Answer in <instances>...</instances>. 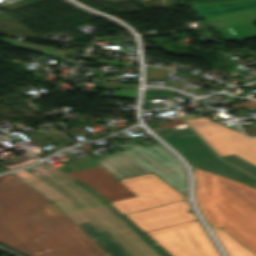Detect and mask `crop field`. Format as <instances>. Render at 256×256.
<instances>
[{"instance_id": "8a807250", "label": "crop field", "mask_w": 256, "mask_h": 256, "mask_svg": "<svg viewBox=\"0 0 256 256\" xmlns=\"http://www.w3.org/2000/svg\"><path fill=\"white\" fill-rule=\"evenodd\" d=\"M0 241L29 256H109L11 173L0 177Z\"/></svg>"}, {"instance_id": "ac0d7876", "label": "crop field", "mask_w": 256, "mask_h": 256, "mask_svg": "<svg viewBox=\"0 0 256 256\" xmlns=\"http://www.w3.org/2000/svg\"><path fill=\"white\" fill-rule=\"evenodd\" d=\"M197 204L210 227H221L256 254V188L198 168Z\"/></svg>"}, {"instance_id": "34b2d1b8", "label": "crop field", "mask_w": 256, "mask_h": 256, "mask_svg": "<svg viewBox=\"0 0 256 256\" xmlns=\"http://www.w3.org/2000/svg\"><path fill=\"white\" fill-rule=\"evenodd\" d=\"M152 130L184 156L191 166L198 167L240 182L256 184V178L220 160L217 155L191 130L189 126Z\"/></svg>"}, {"instance_id": "412701ff", "label": "crop field", "mask_w": 256, "mask_h": 256, "mask_svg": "<svg viewBox=\"0 0 256 256\" xmlns=\"http://www.w3.org/2000/svg\"><path fill=\"white\" fill-rule=\"evenodd\" d=\"M147 234L172 256H219L197 220Z\"/></svg>"}, {"instance_id": "f4fd0767", "label": "crop field", "mask_w": 256, "mask_h": 256, "mask_svg": "<svg viewBox=\"0 0 256 256\" xmlns=\"http://www.w3.org/2000/svg\"><path fill=\"white\" fill-rule=\"evenodd\" d=\"M139 197L112 203L122 215L184 199V196L152 173L120 180Z\"/></svg>"}, {"instance_id": "dd49c442", "label": "crop field", "mask_w": 256, "mask_h": 256, "mask_svg": "<svg viewBox=\"0 0 256 256\" xmlns=\"http://www.w3.org/2000/svg\"><path fill=\"white\" fill-rule=\"evenodd\" d=\"M221 156L235 153L256 164V140L204 117L186 121Z\"/></svg>"}, {"instance_id": "e52e79f7", "label": "crop field", "mask_w": 256, "mask_h": 256, "mask_svg": "<svg viewBox=\"0 0 256 256\" xmlns=\"http://www.w3.org/2000/svg\"><path fill=\"white\" fill-rule=\"evenodd\" d=\"M188 209L190 208L186 200H183L181 202L127 214L126 216L146 232L194 220L193 213L186 212Z\"/></svg>"}, {"instance_id": "d8731c3e", "label": "crop field", "mask_w": 256, "mask_h": 256, "mask_svg": "<svg viewBox=\"0 0 256 256\" xmlns=\"http://www.w3.org/2000/svg\"><path fill=\"white\" fill-rule=\"evenodd\" d=\"M121 145L123 144L116 145V146L122 149L123 151H125L135 160L140 162L150 171L157 174L159 177H161L163 180H165L167 183H169L171 186H173L183 195H185L186 175L178 160H175L166 164H161L145 148H143L138 144H135V143L125 144L127 145V147H124Z\"/></svg>"}, {"instance_id": "5a996713", "label": "crop field", "mask_w": 256, "mask_h": 256, "mask_svg": "<svg viewBox=\"0 0 256 256\" xmlns=\"http://www.w3.org/2000/svg\"><path fill=\"white\" fill-rule=\"evenodd\" d=\"M18 177L52 201L64 214H66L77 225L90 223L91 221L85 217L75 206H73L68 200L61 197L38 180L30 176L25 171L14 172Z\"/></svg>"}, {"instance_id": "3316defc", "label": "crop field", "mask_w": 256, "mask_h": 256, "mask_svg": "<svg viewBox=\"0 0 256 256\" xmlns=\"http://www.w3.org/2000/svg\"><path fill=\"white\" fill-rule=\"evenodd\" d=\"M95 160L118 180L150 172L123 151Z\"/></svg>"}, {"instance_id": "28ad6ade", "label": "crop field", "mask_w": 256, "mask_h": 256, "mask_svg": "<svg viewBox=\"0 0 256 256\" xmlns=\"http://www.w3.org/2000/svg\"><path fill=\"white\" fill-rule=\"evenodd\" d=\"M202 19L256 8V0L190 6Z\"/></svg>"}, {"instance_id": "d1516ede", "label": "crop field", "mask_w": 256, "mask_h": 256, "mask_svg": "<svg viewBox=\"0 0 256 256\" xmlns=\"http://www.w3.org/2000/svg\"><path fill=\"white\" fill-rule=\"evenodd\" d=\"M68 175L89 185L91 188L99 192L98 194L109 203L137 196L124 185L105 189L84 170L68 173Z\"/></svg>"}, {"instance_id": "22f410ed", "label": "crop field", "mask_w": 256, "mask_h": 256, "mask_svg": "<svg viewBox=\"0 0 256 256\" xmlns=\"http://www.w3.org/2000/svg\"><path fill=\"white\" fill-rule=\"evenodd\" d=\"M212 27L239 25L256 22V10L229 14L225 16L206 19Z\"/></svg>"}, {"instance_id": "cbeb9de0", "label": "crop field", "mask_w": 256, "mask_h": 256, "mask_svg": "<svg viewBox=\"0 0 256 256\" xmlns=\"http://www.w3.org/2000/svg\"><path fill=\"white\" fill-rule=\"evenodd\" d=\"M230 256H256L221 228L212 229Z\"/></svg>"}, {"instance_id": "5142ce71", "label": "crop field", "mask_w": 256, "mask_h": 256, "mask_svg": "<svg viewBox=\"0 0 256 256\" xmlns=\"http://www.w3.org/2000/svg\"><path fill=\"white\" fill-rule=\"evenodd\" d=\"M227 40H246L256 38V27L251 24L215 28Z\"/></svg>"}, {"instance_id": "d9b57169", "label": "crop field", "mask_w": 256, "mask_h": 256, "mask_svg": "<svg viewBox=\"0 0 256 256\" xmlns=\"http://www.w3.org/2000/svg\"><path fill=\"white\" fill-rule=\"evenodd\" d=\"M88 172L93 178H95L101 185L105 188L121 185L120 182L114 181V176H112L106 169L101 165L84 169Z\"/></svg>"}, {"instance_id": "733c2abd", "label": "crop field", "mask_w": 256, "mask_h": 256, "mask_svg": "<svg viewBox=\"0 0 256 256\" xmlns=\"http://www.w3.org/2000/svg\"><path fill=\"white\" fill-rule=\"evenodd\" d=\"M3 40L6 44H8L12 47L28 49V50L40 52V53H43V54H46L49 56L59 57L63 54V53L57 52V48H53V47L15 42V41L7 40V39H3Z\"/></svg>"}, {"instance_id": "4a817a6b", "label": "crop field", "mask_w": 256, "mask_h": 256, "mask_svg": "<svg viewBox=\"0 0 256 256\" xmlns=\"http://www.w3.org/2000/svg\"><path fill=\"white\" fill-rule=\"evenodd\" d=\"M221 158L256 176V165H254V164H252L234 154L223 156Z\"/></svg>"}, {"instance_id": "bc2a9ffb", "label": "crop field", "mask_w": 256, "mask_h": 256, "mask_svg": "<svg viewBox=\"0 0 256 256\" xmlns=\"http://www.w3.org/2000/svg\"><path fill=\"white\" fill-rule=\"evenodd\" d=\"M145 148L152 155H154L161 163H166V162L175 160V158L171 154H169L167 151H165L159 144L145 147Z\"/></svg>"}, {"instance_id": "214f88e0", "label": "crop field", "mask_w": 256, "mask_h": 256, "mask_svg": "<svg viewBox=\"0 0 256 256\" xmlns=\"http://www.w3.org/2000/svg\"><path fill=\"white\" fill-rule=\"evenodd\" d=\"M177 94L178 93L173 92L171 90H167V89L147 90V91H145V95H144V104L148 103L147 99H149L151 97L170 98V97H176Z\"/></svg>"}, {"instance_id": "92a150f3", "label": "crop field", "mask_w": 256, "mask_h": 256, "mask_svg": "<svg viewBox=\"0 0 256 256\" xmlns=\"http://www.w3.org/2000/svg\"><path fill=\"white\" fill-rule=\"evenodd\" d=\"M23 156L27 158V159H25V160H27V161L22 162V163H20V164L12 165V166H8V165H11V164H8V165H4V164H2V163H0V164H2L3 166H5V167H7V168H9V169H12V168L20 167V166H22V165H24V164H29V163H31V162H34V161L38 160V159H36L35 157H33L32 155H30V154H24ZM21 161H24V160H21ZM17 162H20V161H17ZM15 163H16V162H15ZM12 164H14V163H12Z\"/></svg>"}, {"instance_id": "dafd665d", "label": "crop field", "mask_w": 256, "mask_h": 256, "mask_svg": "<svg viewBox=\"0 0 256 256\" xmlns=\"http://www.w3.org/2000/svg\"><path fill=\"white\" fill-rule=\"evenodd\" d=\"M184 123L185 122L181 118H179V119L172 120V122L161 124V126L164 129H166V128L174 127V126H177V125H180V124H184Z\"/></svg>"}, {"instance_id": "00972430", "label": "crop field", "mask_w": 256, "mask_h": 256, "mask_svg": "<svg viewBox=\"0 0 256 256\" xmlns=\"http://www.w3.org/2000/svg\"><path fill=\"white\" fill-rule=\"evenodd\" d=\"M194 5L198 4H206V3H214V2H222V1H231V0H192Z\"/></svg>"}, {"instance_id": "a9b5d70f", "label": "crop field", "mask_w": 256, "mask_h": 256, "mask_svg": "<svg viewBox=\"0 0 256 256\" xmlns=\"http://www.w3.org/2000/svg\"><path fill=\"white\" fill-rule=\"evenodd\" d=\"M231 107H256V100H249L246 104L231 105Z\"/></svg>"}, {"instance_id": "4177f3b9", "label": "crop field", "mask_w": 256, "mask_h": 256, "mask_svg": "<svg viewBox=\"0 0 256 256\" xmlns=\"http://www.w3.org/2000/svg\"><path fill=\"white\" fill-rule=\"evenodd\" d=\"M199 117H203L202 115L194 112L190 115H187V116H183L182 118H184L185 120H188V119H195V118H199Z\"/></svg>"}, {"instance_id": "730fd06b", "label": "crop field", "mask_w": 256, "mask_h": 256, "mask_svg": "<svg viewBox=\"0 0 256 256\" xmlns=\"http://www.w3.org/2000/svg\"><path fill=\"white\" fill-rule=\"evenodd\" d=\"M219 94L222 95V96H224V97L232 98V99H234V100L237 99L236 97L229 96V95H227V94H225V93H219Z\"/></svg>"}, {"instance_id": "eef30255", "label": "crop field", "mask_w": 256, "mask_h": 256, "mask_svg": "<svg viewBox=\"0 0 256 256\" xmlns=\"http://www.w3.org/2000/svg\"><path fill=\"white\" fill-rule=\"evenodd\" d=\"M256 187V186H255Z\"/></svg>"}, {"instance_id": "ae1a2a85", "label": "crop field", "mask_w": 256, "mask_h": 256, "mask_svg": "<svg viewBox=\"0 0 256 256\" xmlns=\"http://www.w3.org/2000/svg\"><path fill=\"white\" fill-rule=\"evenodd\" d=\"M256 139V138H255Z\"/></svg>"}]
</instances>
